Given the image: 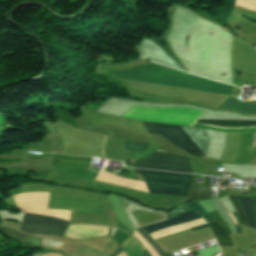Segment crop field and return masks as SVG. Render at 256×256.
<instances>
[{"instance_id":"obj_17","label":"crop field","mask_w":256,"mask_h":256,"mask_svg":"<svg viewBox=\"0 0 256 256\" xmlns=\"http://www.w3.org/2000/svg\"><path fill=\"white\" fill-rule=\"evenodd\" d=\"M156 250L157 252L160 254V256H170L166 253H164L149 237V235L141 228L139 230H137Z\"/></svg>"},{"instance_id":"obj_25","label":"crop field","mask_w":256,"mask_h":256,"mask_svg":"<svg viewBox=\"0 0 256 256\" xmlns=\"http://www.w3.org/2000/svg\"><path fill=\"white\" fill-rule=\"evenodd\" d=\"M207 226H209V225L206 224V225H202V226H199V227H196V228H192V231L197 230V229H201V228H204V227H207Z\"/></svg>"},{"instance_id":"obj_7","label":"crop field","mask_w":256,"mask_h":256,"mask_svg":"<svg viewBox=\"0 0 256 256\" xmlns=\"http://www.w3.org/2000/svg\"><path fill=\"white\" fill-rule=\"evenodd\" d=\"M220 109L241 111L247 113H256V102H244L230 97L226 102H224Z\"/></svg>"},{"instance_id":"obj_23","label":"crop field","mask_w":256,"mask_h":256,"mask_svg":"<svg viewBox=\"0 0 256 256\" xmlns=\"http://www.w3.org/2000/svg\"><path fill=\"white\" fill-rule=\"evenodd\" d=\"M1 163H22L20 159H15V160H9V161H0Z\"/></svg>"},{"instance_id":"obj_15","label":"crop field","mask_w":256,"mask_h":256,"mask_svg":"<svg viewBox=\"0 0 256 256\" xmlns=\"http://www.w3.org/2000/svg\"><path fill=\"white\" fill-rule=\"evenodd\" d=\"M54 118L56 119V121L64 122L66 124H69V125L77 128L73 117H71L68 113L61 112V111H56L54 113Z\"/></svg>"},{"instance_id":"obj_10","label":"crop field","mask_w":256,"mask_h":256,"mask_svg":"<svg viewBox=\"0 0 256 256\" xmlns=\"http://www.w3.org/2000/svg\"><path fill=\"white\" fill-rule=\"evenodd\" d=\"M182 128L205 155V152L209 143V137L206 131L202 129H195V128H187V127H182Z\"/></svg>"},{"instance_id":"obj_28","label":"crop field","mask_w":256,"mask_h":256,"mask_svg":"<svg viewBox=\"0 0 256 256\" xmlns=\"http://www.w3.org/2000/svg\"><path fill=\"white\" fill-rule=\"evenodd\" d=\"M230 216L232 217L233 222H234V223H236L235 218H234V216H233V214H232V213H230ZM236 224H237V223H236Z\"/></svg>"},{"instance_id":"obj_13","label":"crop field","mask_w":256,"mask_h":256,"mask_svg":"<svg viewBox=\"0 0 256 256\" xmlns=\"http://www.w3.org/2000/svg\"><path fill=\"white\" fill-rule=\"evenodd\" d=\"M238 199L240 200L241 205L244 208L245 214L247 216L248 220V226L250 228L256 229V224H255V219H254V214H253V209H252V203H251V198H243L237 196Z\"/></svg>"},{"instance_id":"obj_24","label":"crop field","mask_w":256,"mask_h":256,"mask_svg":"<svg viewBox=\"0 0 256 256\" xmlns=\"http://www.w3.org/2000/svg\"><path fill=\"white\" fill-rule=\"evenodd\" d=\"M122 252L120 246L118 247L117 251L112 255V256H117L118 254H120Z\"/></svg>"},{"instance_id":"obj_22","label":"crop field","mask_w":256,"mask_h":256,"mask_svg":"<svg viewBox=\"0 0 256 256\" xmlns=\"http://www.w3.org/2000/svg\"><path fill=\"white\" fill-rule=\"evenodd\" d=\"M218 223L222 226V228L224 229L226 235L231 234L229 228L226 225V223H223V222H218Z\"/></svg>"},{"instance_id":"obj_6","label":"crop field","mask_w":256,"mask_h":256,"mask_svg":"<svg viewBox=\"0 0 256 256\" xmlns=\"http://www.w3.org/2000/svg\"><path fill=\"white\" fill-rule=\"evenodd\" d=\"M137 51L140 56L150 61H158L167 65H170L178 70L184 71L177 63H175L163 50L158 46L152 43L149 39L144 37L142 43L139 46H136ZM154 61V62H155ZM156 62V63H158ZM159 63V64H161ZM162 64V65H164ZM165 65V66H167ZM169 66V67H170Z\"/></svg>"},{"instance_id":"obj_9","label":"crop field","mask_w":256,"mask_h":256,"mask_svg":"<svg viewBox=\"0 0 256 256\" xmlns=\"http://www.w3.org/2000/svg\"><path fill=\"white\" fill-rule=\"evenodd\" d=\"M92 158H79L74 156L55 154L53 167L57 166H79L88 167Z\"/></svg>"},{"instance_id":"obj_19","label":"crop field","mask_w":256,"mask_h":256,"mask_svg":"<svg viewBox=\"0 0 256 256\" xmlns=\"http://www.w3.org/2000/svg\"><path fill=\"white\" fill-rule=\"evenodd\" d=\"M0 230H1L4 234L8 235V236L11 237V238H25V237H27V236H25V235H23V234H21V233H19V232H17V231L10 230V229H7V228L1 227Z\"/></svg>"},{"instance_id":"obj_11","label":"crop field","mask_w":256,"mask_h":256,"mask_svg":"<svg viewBox=\"0 0 256 256\" xmlns=\"http://www.w3.org/2000/svg\"><path fill=\"white\" fill-rule=\"evenodd\" d=\"M197 123L228 126V127L256 126V121L198 120Z\"/></svg>"},{"instance_id":"obj_27","label":"crop field","mask_w":256,"mask_h":256,"mask_svg":"<svg viewBox=\"0 0 256 256\" xmlns=\"http://www.w3.org/2000/svg\"><path fill=\"white\" fill-rule=\"evenodd\" d=\"M254 207L256 206V197L252 198Z\"/></svg>"},{"instance_id":"obj_5","label":"crop field","mask_w":256,"mask_h":256,"mask_svg":"<svg viewBox=\"0 0 256 256\" xmlns=\"http://www.w3.org/2000/svg\"><path fill=\"white\" fill-rule=\"evenodd\" d=\"M150 134L158 133L172 142L174 145L184 149L188 153L204 159L202 153L186 135L180 126H168L151 123H143Z\"/></svg>"},{"instance_id":"obj_20","label":"crop field","mask_w":256,"mask_h":256,"mask_svg":"<svg viewBox=\"0 0 256 256\" xmlns=\"http://www.w3.org/2000/svg\"><path fill=\"white\" fill-rule=\"evenodd\" d=\"M133 233L137 238H139L142 241L143 245L151 252L153 256H159V254L151 247V245L137 231H134Z\"/></svg>"},{"instance_id":"obj_26","label":"crop field","mask_w":256,"mask_h":256,"mask_svg":"<svg viewBox=\"0 0 256 256\" xmlns=\"http://www.w3.org/2000/svg\"><path fill=\"white\" fill-rule=\"evenodd\" d=\"M149 255H150L149 252L145 250L142 256H149Z\"/></svg>"},{"instance_id":"obj_4","label":"crop field","mask_w":256,"mask_h":256,"mask_svg":"<svg viewBox=\"0 0 256 256\" xmlns=\"http://www.w3.org/2000/svg\"><path fill=\"white\" fill-rule=\"evenodd\" d=\"M68 223L63 220L25 213L20 230L27 233L61 236Z\"/></svg>"},{"instance_id":"obj_21","label":"crop field","mask_w":256,"mask_h":256,"mask_svg":"<svg viewBox=\"0 0 256 256\" xmlns=\"http://www.w3.org/2000/svg\"><path fill=\"white\" fill-rule=\"evenodd\" d=\"M215 220H222L223 221V219H222V217L216 212V211H214V212H211V213H209Z\"/></svg>"},{"instance_id":"obj_14","label":"crop field","mask_w":256,"mask_h":256,"mask_svg":"<svg viewBox=\"0 0 256 256\" xmlns=\"http://www.w3.org/2000/svg\"><path fill=\"white\" fill-rule=\"evenodd\" d=\"M228 197L230 198L238 216H239V219H240V222L243 226H246L247 227V221H246V217L244 215V211H243V208L241 207L237 197L235 196H230L228 195Z\"/></svg>"},{"instance_id":"obj_12","label":"crop field","mask_w":256,"mask_h":256,"mask_svg":"<svg viewBox=\"0 0 256 256\" xmlns=\"http://www.w3.org/2000/svg\"><path fill=\"white\" fill-rule=\"evenodd\" d=\"M215 233L219 246H233L230 236H226L223 229L217 222L209 223Z\"/></svg>"},{"instance_id":"obj_16","label":"crop field","mask_w":256,"mask_h":256,"mask_svg":"<svg viewBox=\"0 0 256 256\" xmlns=\"http://www.w3.org/2000/svg\"><path fill=\"white\" fill-rule=\"evenodd\" d=\"M149 144L124 141L125 150L144 152Z\"/></svg>"},{"instance_id":"obj_18","label":"crop field","mask_w":256,"mask_h":256,"mask_svg":"<svg viewBox=\"0 0 256 256\" xmlns=\"http://www.w3.org/2000/svg\"><path fill=\"white\" fill-rule=\"evenodd\" d=\"M188 206H190L191 208H193L194 210H196L197 212H199L207 221V223L214 221L203 209L202 207L197 203H191V204H187Z\"/></svg>"},{"instance_id":"obj_8","label":"crop field","mask_w":256,"mask_h":256,"mask_svg":"<svg viewBox=\"0 0 256 256\" xmlns=\"http://www.w3.org/2000/svg\"><path fill=\"white\" fill-rule=\"evenodd\" d=\"M201 222H204V220L199 216L197 218H194V219H191V220H188V221H185V222H182V223H179V224H176V225H173V226H170V227H167V228H164V229H161V230L149 233V235L152 237V239H154V238H157V237H160V236H163V235H166V234L178 231L180 229H183V228H186V227H189V226L201 223ZM202 224H206V222L198 224V225H195V226H199V225H202ZM195 226H192V227H195ZM192 227H189V228H192ZM186 229H188V228H186ZM183 230H185V229H183Z\"/></svg>"},{"instance_id":"obj_3","label":"crop field","mask_w":256,"mask_h":256,"mask_svg":"<svg viewBox=\"0 0 256 256\" xmlns=\"http://www.w3.org/2000/svg\"><path fill=\"white\" fill-rule=\"evenodd\" d=\"M133 167L192 173L187 158L157 150L151 156L136 162Z\"/></svg>"},{"instance_id":"obj_2","label":"crop field","mask_w":256,"mask_h":256,"mask_svg":"<svg viewBox=\"0 0 256 256\" xmlns=\"http://www.w3.org/2000/svg\"><path fill=\"white\" fill-rule=\"evenodd\" d=\"M150 193L186 196L193 175L137 170Z\"/></svg>"},{"instance_id":"obj_1","label":"crop field","mask_w":256,"mask_h":256,"mask_svg":"<svg viewBox=\"0 0 256 256\" xmlns=\"http://www.w3.org/2000/svg\"><path fill=\"white\" fill-rule=\"evenodd\" d=\"M120 72L142 74V75L231 87V85L198 78L190 74L178 71L176 69L157 65L152 62L141 65V66H137L134 68L120 70ZM120 72L113 71L112 73L115 76L122 77V78L147 81V82H153V83H159V84H165V85H171V86H178V87H184V88H190V89H196V90H203V91H209V92H215V93H221V94H227V95H230V91H231V88H228V87L206 85V84L170 80V79H163V78H156V77H149V76H142V75H134V74H127V73H120Z\"/></svg>"}]
</instances>
